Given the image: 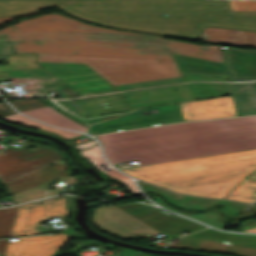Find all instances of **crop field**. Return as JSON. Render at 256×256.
<instances>
[{
    "instance_id": "obj_34",
    "label": "crop field",
    "mask_w": 256,
    "mask_h": 256,
    "mask_svg": "<svg viewBox=\"0 0 256 256\" xmlns=\"http://www.w3.org/2000/svg\"><path fill=\"white\" fill-rule=\"evenodd\" d=\"M35 13H39V11H33V12L21 14V15L0 18V24L3 23V22L11 21V20L15 19L16 17L27 16V15H31V14H35Z\"/></svg>"
},
{
    "instance_id": "obj_24",
    "label": "crop field",
    "mask_w": 256,
    "mask_h": 256,
    "mask_svg": "<svg viewBox=\"0 0 256 256\" xmlns=\"http://www.w3.org/2000/svg\"><path fill=\"white\" fill-rule=\"evenodd\" d=\"M16 207L0 209V238L9 236Z\"/></svg>"
},
{
    "instance_id": "obj_6",
    "label": "crop field",
    "mask_w": 256,
    "mask_h": 256,
    "mask_svg": "<svg viewBox=\"0 0 256 256\" xmlns=\"http://www.w3.org/2000/svg\"><path fill=\"white\" fill-rule=\"evenodd\" d=\"M74 208L70 196L54 197L17 207L9 237L43 233L39 222L49 217H65L68 209Z\"/></svg>"
},
{
    "instance_id": "obj_40",
    "label": "crop field",
    "mask_w": 256,
    "mask_h": 256,
    "mask_svg": "<svg viewBox=\"0 0 256 256\" xmlns=\"http://www.w3.org/2000/svg\"><path fill=\"white\" fill-rule=\"evenodd\" d=\"M249 178L256 179V171H254L252 174L248 176Z\"/></svg>"
},
{
    "instance_id": "obj_8",
    "label": "crop field",
    "mask_w": 256,
    "mask_h": 256,
    "mask_svg": "<svg viewBox=\"0 0 256 256\" xmlns=\"http://www.w3.org/2000/svg\"><path fill=\"white\" fill-rule=\"evenodd\" d=\"M92 222L98 229L124 239L159 234L114 206L93 208Z\"/></svg>"
},
{
    "instance_id": "obj_23",
    "label": "crop field",
    "mask_w": 256,
    "mask_h": 256,
    "mask_svg": "<svg viewBox=\"0 0 256 256\" xmlns=\"http://www.w3.org/2000/svg\"><path fill=\"white\" fill-rule=\"evenodd\" d=\"M159 205L165 207V208H168L165 204H163L161 202V199H159L158 197L156 196H151ZM170 209V208H168ZM172 210V209H170ZM172 211H175V212H178L180 214H183V215H186V216H189L191 218H194L198 221H201L203 223H206L212 227H215V228H218V229H222V222H220L219 220L216 219V214L214 213H206V214H202V215H190V214H184L182 212H179V211H176V210H172Z\"/></svg>"
},
{
    "instance_id": "obj_10",
    "label": "crop field",
    "mask_w": 256,
    "mask_h": 256,
    "mask_svg": "<svg viewBox=\"0 0 256 256\" xmlns=\"http://www.w3.org/2000/svg\"><path fill=\"white\" fill-rule=\"evenodd\" d=\"M68 237L59 233L52 236L20 238L14 242L8 240L5 256H58L63 253L57 249L67 243Z\"/></svg>"
},
{
    "instance_id": "obj_37",
    "label": "crop field",
    "mask_w": 256,
    "mask_h": 256,
    "mask_svg": "<svg viewBox=\"0 0 256 256\" xmlns=\"http://www.w3.org/2000/svg\"><path fill=\"white\" fill-rule=\"evenodd\" d=\"M7 59H8L7 56H0V60H7ZM223 95H226V94H223ZM217 96H221V95H217ZM217 96H210V97H204V98H198V99L212 98V97H217ZM191 100H196V99H191ZM185 101H188V100H185ZM178 102H180V101H178ZM172 103H174V102H172ZM165 104H168V103H165ZM159 105H161V104H159ZM153 106H155V105H153ZM146 107H149V106H146ZM140 108H143V107H140ZM136 109H138V108H136Z\"/></svg>"
},
{
    "instance_id": "obj_21",
    "label": "crop field",
    "mask_w": 256,
    "mask_h": 256,
    "mask_svg": "<svg viewBox=\"0 0 256 256\" xmlns=\"http://www.w3.org/2000/svg\"><path fill=\"white\" fill-rule=\"evenodd\" d=\"M9 74L10 78L14 77L16 83H20L19 81H22L23 84L56 79L55 76L44 69L14 71L9 72Z\"/></svg>"
},
{
    "instance_id": "obj_11",
    "label": "crop field",
    "mask_w": 256,
    "mask_h": 256,
    "mask_svg": "<svg viewBox=\"0 0 256 256\" xmlns=\"http://www.w3.org/2000/svg\"><path fill=\"white\" fill-rule=\"evenodd\" d=\"M179 105L185 121L236 116L231 95Z\"/></svg>"
},
{
    "instance_id": "obj_36",
    "label": "crop field",
    "mask_w": 256,
    "mask_h": 256,
    "mask_svg": "<svg viewBox=\"0 0 256 256\" xmlns=\"http://www.w3.org/2000/svg\"><path fill=\"white\" fill-rule=\"evenodd\" d=\"M8 239L0 240V256H4V251Z\"/></svg>"
},
{
    "instance_id": "obj_41",
    "label": "crop field",
    "mask_w": 256,
    "mask_h": 256,
    "mask_svg": "<svg viewBox=\"0 0 256 256\" xmlns=\"http://www.w3.org/2000/svg\"><path fill=\"white\" fill-rule=\"evenodd\" d=\"M95 255H97V254H95ZM95 255H92V256H95Z\"/></svg>"
},
{
    "instance_id": "obj_3",
    "label": "crop field",
    "mask_w": 256,
    "mask_h": 256,
    "mask_svg": "<svg viewBox=\"0 0 256 256\" xmlns=\"http://www.w3.org/2000/svg\"><path fill=\"white\" fill-rule=\"evenodd\" d=\"M112 162L141 165L256 148V116L178 123L97 137Z\"/></svg>"
},
{
    "instance_id": "obj_16",
    "label": "crop field",
    "mask_w": 256,
    "mask_h": 256,
    "mask_svg": "<svg viewBox=\"0 0 256 256\" xmlns=\"http://www.w3.org/2000/svg\"><path fill=\"white\" fill-rule=\"evenodd\" d=\"M200 39L206 42L256 47V32L206 27Z\"/></svg>"
},
{
    "instance_id": "obj_9",
    "label": "crop field",
    "mask_w": 256,
    "mask_h": 256,
    "mask_svg": "<svg viewBox=\"0 0 256 256\" xmlns=\"http://www.w3.org/2000/svg\"><path fill=\"white\" fill-rule=\"evenodd\" d=\"M38 100L49 105L50 107L62 112L63 114L67 115L70 119L80 123L82 126L87 127V129H90V127L94 123L143 116L144 114H142V112L146 111V110H150V109H158L159 113L180 110L178 104H176V105H166V106L134 110V111H128V112L105 114V115H99V116L88 118L70 98H67V99H38Z\"/></svg>"
},
{
    "instance_id": "obj_35",
    "label": "crop field",
    "mask_w": 256,
    "mask_h": 256,
    "mask_svg": "<svg viewBox=\"0 0 256 256\" xmlns=\"http://www.w3.org/2000/svg\"><path fill=\"white\" fill-rule=\"evenodd\" d=\"M103 27H105V26H103ZM109 28H115V27H109ZM116 29H121V28H116ZM122 30H127V29H122ZM129 31H133V30H129ZM136 32H140V31H136ZM142 33H146V32H142ZM149 34H152V33H149ZM155 35H160V34H155ZM162 36L175 37V38H181V39H188V40H194V41L198 40V39L189 38V37H179V36H170V35H162Z\"/></svg>"
},
{
    "instance_id": "obj_33",
    "label": "crop field",
    "mask_w": 256,
    "mask_h": 256,
    "mask_svg": "<svg viewBox=\"0 0 256 256\" xmlns=\"http://www.w3.org/2000/svg\"><path fill=\"white\" fill-rule=\"evenodd\" d=\"M103 256H106V255H103ZM115 256H147V255L141 254V253L136 252V251L124 249L123 252H121V253H119Z\"/></svg>"
},
{
    "instance_id": "obj_18",
    "label": "crop field",
    "mask_w": 256,
    "mask_h": 256,
    "mask_svg": "<svg viewBox=\"0 0 256 256\" xmlns=\"http://www.w3.org/2000/svg\"><path fill=\"white\" fill-rule=\"evenodd\" d=\"M27 85L23 86L25 90H33L34 92L53 91V92L59 94L60 97H62V98L79 96L76 92H74L70 88H68L59 79L45 81V82H39V83H33V84H30L31 86H27Z\"/></svg>"
},
{
    "instance_id": "obj_26",
    "label": "crop field",
    "mask_w": 256,
    "mask_h": 256,
    "mask_svg": "<svg viewBox=\"0 0 256 256\" xmlns=\"http://www.w3.org/2000/svg\"><path fill=\"white\" fill-rule=\"evenodd\" d=\"M234 11H256V1H229Z\"/></svg>"
},
{
    "instance_id": "obj_1",
    "label": "crop field",
    "mask_w": 256,
    "mask_h": 256,
    "mask_svg": "<svg viewBox=\"0 0 256 256\" xmlns=\"http://www.w3.org/2000/svg\"><path fill=\"white\" fill-rule=\"evenodd\" d=\"M51 5L84 21L152 33L199 38L205 26L256 31V12H233L217 0H0V17Z\"/></svg>"
},
{
    "instance_id": "obj_28",
    "label": "crop field",
    "mask_w": 256,
    "mask_h": 256,
    "mask_svg": "<svg viewBox=\"0 0 256 256\" xmlns=\"http://www.w3.org/2000/svg\"><path fill=\"white\" fill-rule=\"evenodd\" d=\"M54 126L61 127V128H67V129H73V130H79V131H84L86 128L80 126L79 124L69 120L57 124H53Z\"/></svg>"
},
{
    "instance_id": "obj_27",
    "label": "crop field",
    "mask_w": 256,
    "mask_h": 256,
    "mask_svg": "<svg viewBox=\"0 0 256 256\" xmlns=\"http://www.w3.org/2000/svg\"><path fill=\"white\" fill-rule=\"evenodd\" d=\"M3 119H6L8 121H17V122H22L26 125H29V126H34V127H37V128H42V127H46L40 123H37L35 121H32L26 117H23L19 114H15V115H11V116H7V117H3Z\"/></svg>"
},
{
    "instance_id": "obj_32",
    "label": "crop field",
    "mask_w": 256,
    "mask_h": 256,
    "mask_svg": "<svg viewBox=\"0 0 256 256\" xmlns=\"http://www.w3.org/2000/svg\"><path fill=\"white\" fill-rule=\"evenodd\" d=\"M15 114V112L3 102H0V117Z\"/></svg>"
},
{
    "instance_id": "obj_12",
    "label": "crop field",
    "mask_w": 256,
    "mask_h": 256,
    "mask_svg": "<svg viewBox=\"0 0 256 256\" xmlns=\"http://www.w3.org/2000/svg\"><path fill=\"white\" fill-rule=\"evenodd\" d=\"M226 79L237 116L256 114V78L226 76Z\"/></svg>"
},
{
    "instance_id": "obj_2",
    "label": "crop field",
    "mask_w": 256,
    "mask_h": 256,
    "mask_svg": "<svg viewBox=\"0 0 256 256\" xmlns=\"http://www.w3.org/2000/svg\"><path fill=\"white\" fill-rule=\"evenodd\" d=\"M10 41L16 53H85L172 61L170 54H182L221 61L218 46L208 47L169 41L159 36L113 31L90 26L62 14L21 20L0 30V42Z\"/></svg>"
},
{
    "instance_id": "obj_4",
    "label": "crop field",
    "mask_w": 256,
    "mask_h": 256,
    "mask_svg": "<svg viewBox=\"0 0 256 256\" xmlns=\"http://www.w3.org/2000/svg\"><path fill=\"white\" fill-rule=\"evenodd\" d=\"M121 170L171 191L223 198L243 178L256 170V150Z\"/></svg>"
},
{
    "instance_id": "obj_5",
    "label": "crop field",
    "mask_w": 256,
    "mask_h": 256,
    "mask_svg": "<svg viewBox=\"0 0 256 256\" xmlns=\"http://www.w3.org/2000/svg\"><path fill=\"white\" fill-rule=\"evenodd\" d=\"M35 62L85 63L112 85L180 76L174 61L85 54H38Z\"/></svg>"
},
{
    "instance_id": "obj_22",
    "label": "crop field",
    "mask_w": 256,
    "mask_h": 256,
    "mask_svg": "<svg viewBox=\"0 0 256 256\" xmlns=\"http://www.w3.org/2000/svg\"><path fill=\"white\" fill-rule=\"evenodd\" d=\"M23 113L26 115H29L33 118H36L38 120H41L47 124H52V123L68 120V118H66L62 114L58 113L57 111H55L49 107L36 109V110H32V111H27V112H23Z\"/></svg>"
},
{
    "instance_id": "obj_30",
    "label": "crop field",
    "mask_w": 256,
    "mask_h": 256,
    "mask_svg": "<svg viewBox=\"0 0 256 256\" xmlns=\"http://www.w3.org/2000/svg\"><path fill=\"white\" fill-rule=\"evenodd\" d=\"M42 129H46L51 132L58 133L67 139H69L71 136L76 137V136L82 135L80 133H75V132L66 131V130H59V129L50 128V127H46V128H42Z\"/></svg>"
},
{
    "instance_id": "obj_19",
    "label": "crop field",
    "mask_w": 256,
    "mask_h": 256,
    "mask_svg": "<svg viewBox=\"0 0 256 256\" xmlns=\"http://www.w3.org/2000/svg\"><path fill=\"white\" fill-rule=\"evenodd\" d=\"M255 193H256V180L246 178L226 198L245 202V203H252L256 201Z\"/></svg>"
},
{
    "instance_id": "obj_20",
    "label": "crop field",
    "mask_w": 256,
    "mask_h": 256,
    "mask_svg": "<svg viewBox=\"0 0 256 256\" xmlns=\"http://www.w3.org/2000/svg\"><path fill=\"white\" fill-rule=\"evenodd\" d=\"M82 154L85 155L86 158L90 159L95 165H100V164H104L105 161L101 158L100 154H99V150H98V146L97 144L94 145L92 148H90L89 150H84L81 151ZM99 167V166H98ZM100 168V167H99ZM100 170L104 171L103 169L100 168ZM105 172V171H104ZM108 175H110L111 177H115L118 180L122 181L124 184H126L130 190H132L133 192H139V190L136 188V186L134 185V183L132 182V180L127 177L124 176L122 174H120L119 172L112 170V171H108L105 172Z\"/></svg>"
},
{
    "instance_id": "obj_7",
    "label": "crop field",
    "mask_w": 256,
    "mask_h": 256,
    "mask_svg": "<svg viewBox=\"0 0 256 256\" xmlns=\"http://www.w3.org/2000/svg\"><path fill=\"white\" fill-rule=\"evenodd\" d=\"M59 160H62L61 157L51 147H40L32 150L24 147L16 151L7 146L0 153V182L4 184L45 163Z\"/></svg>"
},
{
    "instance_id": "obj_38",
    "label": "crop field",
    "mask_w": 256,
    "mask_h": 256,
    "mask_svg": "<svg viewBox=\"0 0 256 256\" xmlns=\"http://www.w3.org/2000/svg\"><path fill=\"white\" fill-rule=\"evenodd\" d=\"M0 80H9L8 72L0 73Z\"/></svg>"
},
{
    "instance_id": "obj_39",
    "label": "crop field",
    "mask_w": 256,
    "mask_h": 256,
    "mask_svg": "<svg viewBox=\"0 0 256 256\" xmlns=\"http://www.w3.org/2000/svg\"><path fill=\"white\" fill-rule=\"evenodd\" d=\"M93 143H95V142L92 141V142L80 144V145H77L76 147H78V148H80V149H83V148L89 147V146L92 145Z\"/></svg>"
},
{
    "instance_id": "obj_29",
    "label": "crop field",
    "mask_w": 256,
    "mask_h": 256,
    "mask_svg": "<svg viewBox=\"0 0 256 256\" xmlns=\"http://www.w3.org/2000/svg\"><path fill=\"white\" fill-rule=\"evenodd\" d=\"M240 229L241 231H246V232H256V219L244 221Z\"/></svg>"
},
{
    "instance_id": "obj_31",
    "label": "crop field",
    "mask_w": 256,
    "mask_h": 256,
    "mask_svg": "<svg viewBox=\"0 0 256 256\" xmlns=\"http://www.w3.org/2000/svg\"><path fill=\"white\" fill-rule=\"evenodd\" d=\"M15 54L10 42L0 43V55Z\"/></svg>"
},
{
    "instance_id": "obj_25",
    "label": "crop field",
    "mask_w": 256,
    "mask_h": 256,
    "mask_svg": "<svg viewBox=\"0 0 256 256\" xmlns=\"http://www.w3.org/2000/svg\"><path fill=\"white\" fill-rule=\"evenodd\" d=\"M10 103L20 112L45 107L44 104L36 99L15 100L11 101Z\"/></svg>"
},
{
    "instance_id": "obj_14",
    "label": "crop field",
    "mask_w": 256,
    "mask_h": 256,
    "mask_svg": "<svg viewBox=\"0 0 256 256\" xmlns=\"http://www.w3.org/2000/svg\"><path fill=\"white\" fill-rule=\"evenodd\" d=\"M144 191L159 192L169 200L171 203L187 209H205L207 204L220 203L224 204L222 211L232 216L233 218L246 206L245 204L235 203L227 200H212L195 197L181 196L178 194L170 193L159 188L153 187L146 183L140 182ZM231 217V218H232Z\"/></svg>"
},
{
    "instance_id": "obj_13",
    "label": "crop field",
    "mask_w": 256,
    "mask_h": 256,
    "mask_svg": "<svg viewBox=\"0 0 256 256\" xmlns=\"http://www.w3.org/2000/svg\"><path fill=\"white\" fill-rule=\"evenodd\" d=\"M184 121L180 111L94 124L87 132L91 135L133 129L163 123Z\"/></svg>"
},
{
    "instance_id": "obj_15",
    "label": "crop field",
    "mask_w": 256,
    "mask_h": 256,
    "mask_svg": "<svg viewBox=\"0 0 256 256\" xmlns=\"http://www.w3.org/2000/svg\"><path fill=\"white\" fill-rule=\"evenodd\" d=\"M51 164H53L54 166L51 167L50 164H46L4 185L9 190V192L15 193L23 189L35 186L37 184L49 181L51 179L61 177L56 172L67 169L66 163L64 161H59Z\"/></svg>"
},
{
    "instance_id": "obj_17",
    "label": "crop field",
    "mask_w": 256,
    "mask_h": 256,
    "mask_svg": "<svg viewBox=\"0 0 256 256\" xmlns=\"http://www.w3.org/2000/svg\"><path fill=\"white\" fill-rule=\"evenodd\" d=\"M181 72L223 74V63L172 54Z\"/></svg>"
}]
</instances>
